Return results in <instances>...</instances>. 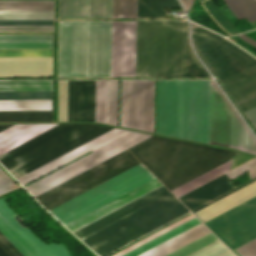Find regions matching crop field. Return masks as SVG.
I'll return each mask as SVG.
<instances>
[{
    "mask_svg": "<svg viewBox=\"0 0 256 256\" xmlns=\"http://www.w3.org/2000/svg\"><path fill=\"white\" fill-rule=\"evenodd\" d=\"M109 129L91 124H59L0 155V162L17 179ZM150 136L113 128L17 180L24 185L93 151L25 186L35 197ZM138 164L126 150L35 198L49 211Z\"/></svg>",
    "mask_w": 256,
    "mask_h": 256,
    "instance_id": "obj_1",
    "label": "crop field"
},
{
    "mask_svg": "<svg viewBox=\"0 0 256 256\" xmlns=\"http://www.w3.org/2000/svg\"><path fill=\"white\" fill-rule=\"evenodd\" d=\"M187 21H137L136 77L209 76L187 46Z\"/></svg>",
    "mask_w": 256,
    "mask_h": 256,
    "instance_id": "obj_2",
    "label": "crop field"
},
{
    "mask_svg": "<svg viewBox=\"0 0 256 256\" xmlns=\"http://www.w3.org/2000/svg\"><path fill=\"white\" fill-rule=\"evenodd\" d=\"M129 150L170 191L241 154L156 136Z\"/></svg>",
    "mask_w": 256,
    "mask_h": 256,
    "instance_id": "obj_3",
    "label": "crop field"
},
{
    "mask_svg": "<svg viewBox=\"0 0 256 256\" xmlns=\"http://www.w3.org/2000/svg\"><path fill=\"white\" fill-rule=\"evenodd\" d=\"M179 81H157V133L178 137ZM210 81H180L179 137L209 144Z\"/></svg>",
    "mask_w": 256,
    "mask_h": 256,
    "instance_id": "obj_4",
    "label": "crop field"
},
{
    "mask_svg": "<svg viewBox=\"0 0 256 256\" xmlns=\"http://www.w3.org/2000/svg\"><path fill=\"white\" fill-rule=\"evenodd\" d=\"M190 44L212 74L218 77L242 112L256 106L254 57L192 22Z\"/></svg>",
    "mask_w": 256,
    "mask_h": 256,
    "instance_id": "obj_5",
    "label": "crop field"
},
{
    "mask_svg": "<svg viewBox=\"0 0 256 256\" xmlns=\"http://www.w3.org/2000/svg\"><path fill=\"white\" fill-rule=\"evenodd\" d=\"M111 22H59L57 77H110Z\"/></svg>",
    "mask_w": 256,
    "mask_h": 256,
    "instance_id": "obj_6",
    "label": "crop field"
},
{
    "mask_svg": "<svg viewBox=\"0 0 256 256\" xmlns=\"http://www.w3.org/2000/svg\"><path fill=\"white\" fill-rule=\"evenodd\" d=\"M186 212L170 194L82 241L103 256Z\"/></svg>",
    "mask_w": 256,
    "mask_h": 256,
    "instance_id": "obj_7",
    "label": "crop field"
},
{
    "mask_svg": "<svg viewBox=\"0 0 256 256\" xmlns=\"http://www.w3.org/2000/svg\"><path fill=\"white\" fill-rule=\"evenodd\" d=\"M153 178L140 164L49 212L65 225Z\"/></svg>",
    "mask_w": 256,
    "mask_h": 256,
    "instance_id": "obj_8",
    "label": "crop field"
},
{
    "mask_svg": "<svg viewBox=\"0 0 256 256\" xmlns=\"http://www.w3.org/2000/svg\"><path fill=\"white\" fill-rule=\"evenodd\" d=\"M210 144L256 155V139L211 81Z\"/></svg>",
    "mask_w": 256,
    "mask_h": 256,
    "instance_id": "obj_9",
    "label": "crop field"
},
{
    "mask_svg": "<svg viewBox=\"0 0 256 256\" xmlns=\"http://www.w3.org/2000/svg\"><path fill=\"white\" fill-rule=\"evenodd\" d=\"M254 181H256V178L252 179L251 181L245 184H242L236 187L235 189L191 211L194 212ZM204 224L216 236H218L229 248H232V249H235L255 239L256 238V197Z\"/></svg>",
    "mask_w": 256,
    "mask_h": 256,
    "instance_id": "obj_10",
    "label": "crop field"
},
{
    "mask_svg": "<svg viewBox=\"0 0 256 256\" xmlns=\"http://www.w3.org/2000/svg\"><path fill=\"white\" fill-rule=\"evenodd\" d=\"M120 126L154 133V81H122Z\"/></svg>",
    "mask_w": 256,
    "mask_h": 256,
    "instance_id": "obj_11",
    "label": "crop field"
},
{
    "mask_svg": "<svg viewBox=\"0 0 256 256\" xmlns=\"http://www.w3.org/2000/svg\"><path fill=\"white\" fill-rule=\"evenodd\" d=\"M136 21L112 22L111 77H135Z\"/></svg>",
    "mask_w": 256,
    "mask_h": 256,
    "instance_id": "obj_12",
    "label": "crop field"
},
{
    "mask_svg": "<svg viewBox=\"0 0 256 256\" xmlns=\"http://www.w3.org/2000/svg\"><path fill=\"white\" fill-rule=\"evenodd\" d=\"M247 171L251 179L256 177V158L228 172L226 175L231 180ZM226 175H223L178 199L191 210L235 188Z\"/></svg>",
    "mask_w": 256,
    "mask_h": 256,
    "instance_id": "obj_13",
    "label": "crop field"
},
{
    "mask_svg": "<svg viewBox=\"0 0 256 256\" xmlns=\"http://www.w3.org/2000/svg\"><path fill=\"white\" fill-rule=\"evenodd\" d=\"M95 81H68V121H94Z\"/></svg>",
    "mask_w": 256,
    "mask_h": 256,
    "instance_id": "obj_14",
    "label": "crop field"
},
{
    "mask_svg": "<svg viewBox=\"0 0 256 256\" xmlns=\"http://www.w3.org/2000/svg\"><path fill=\"white\" fill-rule=\"evenodd\" d=\"M168 194H170L169 191L163 186L133 201L132 203L104 216L103 218L77 230L76 232H74V234H76L82 240Z\"/></svg>",
    "mask_w": 256,
    "mask_h": 256,
    "instance_id": "obj_15",
    "label": "crop field"
},
{
    "mask_svg": "<svg viewBox=\"0 0 256 256\" xmlns=\"http://www.w3.org/2000/svg\"><path fill=\"white\" fill-rule=\"evenodd\" d=\"M161 186L155 178L65 226L73 232Z\"/></svg>",
    "mask_w": 256,
    "mask_h": 256,
    "instance_id": "obj_16",
    "label": "crop field"
},
{
    "mask_svg": "<svg viewBox=\"0 0 256 256\" xmlns=\"http://www.w3.org/2000/svg\"><path fill=\"white\" fill-rule=\"evenodd\" d=\"M199 223L191 214L112 256H137Z\"/></svg>",
    "mask_w": 256,
    "mask_h": 256,
    "instance_id": "obj_17",
    "label": "crop field"
},
{
    "mask_svg": "<svg viewBox=\"0 0 256 256\" xmlns=\"http://www.w3.org/2000/svg\"><path fill=\"white\" fill-rule=\"evenodd\" d=\"M112 0H59V18H111Z\"/></svg>",
    "mask_w": 256,
    "mask_h": 256,
    "instance_id": "obj_18",
    "label": "crop field"
},
{
    "mask_svg": "<svg viewBox=\"0 0 256 256\" xmlns=\"http://www.w3.org/2000/svg\"><path fill=\"white\" fill-rule=\"evenodd\" d=\"M0 214L41 256H70L63 245H45L31 229L20 226L14 219L16 214L8 208L3 198L0 199Z\"/></svg>",
    "mask_w": 256,
    "mask_h": 256,
    "instance_id": "obj_19",
    "label": "crop field"
},
{
    "mask_svg": "<svg viewBox=\"0 0 256 256\" xmlns=\"http://www.w3.org/2000/svg\"><path fill=\"white\" fill-rule=\"evenodd\" d=\"M56 124L15 125L0 133V154Z\"/></svg>",
    "mask_w": 256,
    "mask_h": 256,
    "instance_id": "obj_20",
    "label": "crop field"
},
{
    "mask_svg": "<svg viewBox=\"0 0 256 256\" xmlns=\"http://www.w3.org/2000/svg\"><path fill=\"white\" fill-rule=\"evenodd\" d=\"M208 233L201 223L139 256H165Z\"/></svg>",
    "mask_w": 256,
    "mask_h": 256,
    "instance_id": "obj_21",
    "label": "crop field"
},
{
    "mask_svg": "<svg viewBox=\"0 0 256 256\" xmlns=\"http://www.w3.org/2000/svg\"><path fill=\"white\" fill-rule=\"evenodd\" d=\"M12 121H52V111L0 112V122Z\"/></svg>",
    "mask_w": 256,
    "mask_h": 256,
    "instance_id": "obj_22",
    "label": "crop field"
},
{
    "mask_svg": "<svg viewBox=\"0 0 256 256\" xmlns=\"http://www.w3.org/2000/svg\"><path fill=\"white\" fill-rule=\"evenodd\" d=\"M0 232L24 255L39 256L35 250L0 215Z\"/></svg>",
    "mask_w": 256,
    "mask_h": 256,
    "instance_id": "obj_23",
    "label": "crop field"
},
{
    "mask_svg": "<svg viewBox=\"0 0 256 256\" xmlns=\"http://www.w3.org/2000/svg\"><path fill=\"white\" fill-rule=\"evenodd\" d=\"M8 110H52V100L0 101V111Z\"/></svg>",
    "mask_w": 256,
    "mask_h": 256,
    "instance_id": "obj_24",
    "label": "crop field"
},
{
    "mask_svg": "<svg viewBox=\"0 0 256 256\" xmlns=\"http://www.w3.org/2000/svg\"><path fill=\"white\" fill-rule=\"evenodd\" d=\"M231 166V161L200 176L199 178L171 191L177 198L192 191L193 189L209 182L210 180L228 172L229 168Z\"/></svg>",
    "mask_w": 256,
    "mask_h": 256,
    "instance_id": "obj_25",
    "label": "crop field"
},
{
    "mask_svg": "<svg viewBox=\"0 0 256 256\" xmlns=\"http://www.w3.org/2000/svg\"><path fill=\"white\" fill-rule=\"evenodd\" d=\"M51 91V81H0V92Z\"/></svg>",
    "mask_w": 256,
    "mask_h": 256,
    "instance_id": "obj_26",
    "label": "crop field"
},
{
    "mask_svg": "<svg viewBox=\"0 0 256 256\" xmlns=\"http://www.w3.org/2000/svg\"><path fill=\"white\" fill-rule=\"evenodd\" d=\"M225 3L237 20L243 17L248 21L256 19V0H226Z\"/></svg>",
    "mask_w": 256,
    "mask_h": 256,
    "instance_id": "obj_27",
    "label": "crop field"
},
{
    "mask_svg": "<svg viewBox=\"0 0 256 256\" xmlns=\"http://www.w3.org/2000/svg\"><path fill=\"white\" fill-rule=\"evenodd\" d=\"M137 18H164V0H137Z\"/></svg>",
    "mask_w": 256,
    "mask_h": 256,
    "instance_id": "obj_28",
    "label": "crop field"
},
{
    "mask_svg": "<svg viewBox=\"0 0 256 256\" xmlns=\"http://www.w3.org/2000/svg\"><path fill=\"white\" fill-rule=\"evenodd\" d=\"M119 81H108L107 123L118 126Z\"/></svg>",
    "mask_w": 256,
    "mask_h": 256,
    "instance_id": "obj_29",
    "label": "crop field"
},
{
    "mask_svg": "<svg viewBox=\"0 0 256 256\" xmlns=\"http://www.w3.org/2000/svg\"><path fill=\"white\" fill-rule=\"evenodd\" d=\"M0 9L53 10V1H0Z\"/></svg>",
    "mask_w": 256,
    "mask_h": 256,
    "instance_id": "obj_30",
    "label": "crop field"
},
{
    "mask_svg": "<svg viewBox=\"0 0 256 256\" xmlns=\"http://www.w3.org/2000/svg\"><path fill=\"white\" fill-rule=\"evenodd\" d=\"M107 81H96L95 121L106 123Z\"/></svg>",
    "mask_w": 256,
    "mask_h": 256,
    "instance_id": "obj_31",
    "label": "crop field"
},
{
    "mask_svg": "<svg viewBox=\"0 0 256 256\" xmlns=\"http://www.w3.org/2000/svg\"><path fill=\"white\" fill-rule=\"evenodd\" d=\"M10 19H53V11L0 10V20Z\"/></svg>",
    "mask_w": 256,
    "mask_h": 256,
    "instance_id": "obj_32",
    "label": "crop field"
},
{
    "mask_svg": "<svg viewBox=\"0 0 256 256\" xmlns=\"http://www.w3.org/2000/svg\"><path fill=\"white\" fill-rule=\"evenodd\" d=\"M136 18V0H113L112 18Z\"/></svg>",
    "mask_w": 256,
    "mask_h": 256,
    "instance_id": "obj_33",
    "label": "crop field"
},
{
    "mask_svg": "<svg viewBox=\"0 0 256 256\" xmlns=\"http://www.w3.org/2000/svg\"><path fill=\"white\" fill-rule=\"evenodd\" d=\"M207 11L220 24V26L230 35L239 33L234 25L217 9L212 0L202 2Z\"/></svg>",
    "mask_w": 256,
    "mask_h": 256,
    "instance_id": "obj_34",
    "label": "crop field"
},
{
    "mask_svg": "<svg viewBox=\"0 0 256 256\" xmlns=\"http://www.w3.org/2000/svg\"><path fill=\"white\" fill-rule=\"evenodd\" d=\"M218 240L216 237H214L211 233L182 247L181 249L167 255V256H187L190 253Z\"/></svg>",
    "mask_w": 256,
    "mask_h": 256,
    "instance_id": "obj_35",
    "label": "crop field"
},
{
    "mask_svg": "<svg viewBox=\"0 0 256 256\" xmlns=\"http://www.w3.org/2000/svg\"><path fill=\"white\" fill-rule=\"evenodd\" d=\"M0 56H52V49H0Z\"/></svg>",
    "mask_w": 256,
    "mask_h": 256,
    "instance_id": "obj_36",
    "label": "crop field"
},
{
    "mask_svg": "<svg viewBox=\"0 0 256 256\" xmlns=\"http://www.w3.org/2000/svg\"><path fill=\"white\" fill-rule=\"evenodd\" d=\"M8 99H52V92L0 93V100H8Z\"/></svg>",
    "mask_w": 256,
    "mask_h": 256,
    "instance_id": "obj_37",
    "label": "crop field"
},
{
    "mask_svg": "<svg viewBox=\"0 0 256 256\" xmlns=\"http://www.w3.org/2000/svg\"><path fill=\"white\" fill-rule=\"evenodd\" d=\"M0 42H52V35H0Z\"/></svg>",
    "mask_w": 256,
    "mask_h": 256,
    "instance_id": "obj_38",
    "label": "crop field"
},
{
    "mask_svg": "<svg viewBox=\"0 0 256 256\" xmlns=\"http://www.w3.org/2000/svg\"><path fill=\"white\" fill-rule=\"evenodd\" d=\"M53 26H0V31H52Z\"/></svg>",
    "mask_w": 256,
    "mask_h": 256,
    "instance_id": "obj_39",
    "label": "crop field"
},
{
    "mask_svg": "<svg viewBox=\"0 0 256 256\" xmlns=\"http://www.w3.org/2000/svg\"><path fill=\"white\" fill-rule=\"evenodd\" d=\"M0 48H52V43H0Z\"/></svg>",
    "mask_w": 256,
    "mask_h": 256,
    "instance_id": "obj_40",
    "label": "crop field"
},
{
    "mask_svg": "<svg viewBox=\"0 0 256 256\" xmlns=\"http://www.w3.org/2000/svg\"><path fill=\"white\" fill-rule=\"evenodd\" d=\"M0 25H53V20H11V21H0Z\"/></svg>",
    "mask_w": 256,
    "mask_h": 256,
    "instance_id": "obj_41",
    "label": "crop field"
},
{
    "mask_svg": "<svg viewBox=\"0 0 256 256\" xmlns=\"http://www.w3.org/2000/svg\"><path fill=\"white\" fill-rule=\"evenodd\" d=\"M235 250L242 256H256V239Z\"/></svg>",
    "mask_w": 256,
    "mask_h": 256,
    "instance_id": "obj_42",
    "label": "crop field"
},
{
    "mask_svg": "<svg viewBox=\"0 0 256 256\" xmlns=\"http://www.w3.org/2000/svg\"><path fill=\"white\" fill-rule=\"evenodd\" d=\"M0 246L10 256H23L1 233H0Z\"/></svg>",
    "mask_w": 256,
    "mask_h": 256,
    "instance_id": "obj_43",
    "label": "crop field"
},
{
    "mask_svg": "<svg viewBox=\"0 0 256 256\" xmlns=\"http://www.w3.org/2000/svg\"><path fill=\"white\" fill-rule=\"evenodd\" d=\"M16 186L3 172L0 173V194L14 189Z\"/></svg>",
    "mask_w": 256,
    "mask_h": 256,
    "instance_id": "obj_44",
    "label": "crop field"
},
{
    "mask_svg": "<svg viewBox=\"0 0 256 256\" xmlns=\"http://www.w3.org/2000/svg\"><path fill=\"white\" fill-rule=\"evenodd\" d=\"M244 114L256 129V107L244 112Z\"/></svg>",
    "mask_w": 256,
    "mask_h": 256,
    "instance_id": "obj_45",
    "label": "crop field"
},
{
    "mask_svg": "<svg viewBox=\"0 0 256 256\" xmlns=\"http://www.w3.org/2000/svg\"><path fill=\"white\" fill-rule=\"evenodd\" d=\"M165 8H181L177 0H165Z\"/></svg>",
    "mask_w": 256,
    "mask_h": 256,
    "instance_id": "obj_46",
    "label": "crop field"
},
{
    "mask_svg": "<svg viewBox=\"0 0 256 256\" xmlns=\"http://www.w3.org/2000/svg\"><path fill=\"white\" fill-rule=\"evenodd\" d=\"M185 10H189L191 5H192V2L193 0H181Z\"/></svg>",
    "mask_w": 256,
    "mask_h": 256,
    "instance_id": "obj_47",
    "label": "crop field"
},
{
    "mask_svg": "<svg viewBox=\"0 0 256 256\" xmlns=\"http://www.w3.org/2000/svg\"><path fill=\"white\" fill-rule=\"evenodd\" d=\"M241 38H243L244 40H246L247 42H249V43H251V44H253V45H255L256 46V41L255 40H253V39H251V38H249V37H247V36H245V35H243V34H241V35H239Z\"/></svg>",
    "mask_w": 256,
    "mask_h": 256,
    "instance_id": "obj_48",
    "label": "crop field"
},
{
    "mask_svg": "<svg viewBox=\"0 0 256 256\" xmlns=\"http://www.w3.org/2000/svg\"><path fill=\"white\" fill-rule=\"evenodd\" d=\"M11 126H13V125H0V132L11 127Z\"/></svg>",
    "mask_w": 256,
    "mask_h": 256,
    "instance_id": "obj_49",
    "label": "crop field"
},
{
    "mask_svg": "<svg viewBox=\"0 0 256 256\" xmlns=\"http://www.w3.org/2000/svg\"><path fill=\"white\" fill-rule=\"evenodd\" d=\"M0 256H9V255L0 247Z\"/></svg>",
    "mask_w": 256,
    "mask_h": 256,
    "instance_id": "obj_50",
    "label": "crop field"
},
{
    "mask_svg": "<svg viewBox=\"0 0 256 256\" xmlns=\"http://www.w3.org/2000/svg\"><path fill=\"white\" fill-rule=\"evenodd\" d=\"M0 172H1V170H0Z\"/></svg>",
    "mask_w": 256,
    "mask_h": 256,
    "instance_id": "obj_51",
    "label": "crop field"
}]
</instances>
